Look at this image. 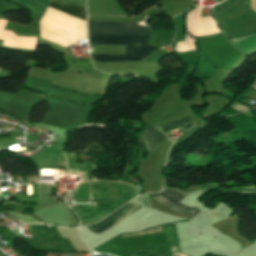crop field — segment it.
Listing matches in <instances>:
<instances>
[{
  "label": "crop field",
  "mask_w": 256,
  "mask_h": 256,
  "mask_svg": "<svg viewBox=\"0 0 256 256\" xmlns=\"http://www.w3.org/2000/svg\"><path fill=\"white\" fill-rule=\"evenodd\" d=\"M153 199L157 200L158 202L186 215V216H192L193 214L186 212V211H190L192 213L197 212L199 209H197L196 207L194 208H190L188 206H185L181 203H179L186 195L185 194H181L178 193L177 191H173V190H162L160 193H158L157 195H159L160 197H162L163 199H165L166 201L186 210H181L173 205H171L170 203L166 202L165 200H163L162 198H160L159 196H157L156 194H150Z\"/></svg>",
  "instance_id": "crop-field-3"
},
{
  "label": "crop field",
  "mask_w": 256,
  "mask_h": 256,
  "mask_svg": "<svg viewBox=\"0 0 256 256\" xmlns=\"http://www.w3.org/2000/svg\"><path fill=\"white\" fill-rule=\"evenodd\" d=\"M43 248H45V249H56V244L43 245Z\"/></svg>",
  "instance_id": "crop-field-7"
},
{
  "label": "crop field",
  "mask_w": 256,
  "mask_h": 256,
  "mask_svg": "<svg viewBox=\"0 0 256 256\" xmlns=\"http://www.w3.org/2000/svg\"><path fill=\"white\" fill-rule=\"evenodd\" d=\"M188 122H191V120L188 117H186V118H183V119H181L179 121L168 123V124H164V125H161L159 127L161 129L165 130V129H168V128H173L175 126H181V125H183L185 123H188Z\"/></svg>",
  "instance_id": "crop-field-6"
},
{
  "label": "crop field",
  "mask_w": 256,
  "mask_h": 256,
  "mask_svg": "<svg viewBox=\"0 0 256 256\" xmlns=\"http://www.w3.org/2000/svg\"><path fill=\"white\" fill-rule=\"evenodd\" d=\"M49 7L86 19V9L64 0H51Z\"/></svg>",
  "instance_id": "crop-field-5"
},
{
  "label": "crop field",
  "mask_w": 256,
  "mask_h": 256,
  "mask_svg": "<svg viewBox=\"0 0 256 256\" xmlns=\"http://www.w3.org/2000/svg\"><path fill=\"white\" fill-rule=\"evenodd\" d=\"M140 207H142V206L131 201V202L127 203L126 205H124L123 207H121L120 209L113 212L112 214H110L109 216H107L101 222L87 226V228L96 233L103 232V231L109 229L110 227H112L114 224H116L118 221H120L124 217L128 216L135 210L139 209Z\"/></svg>",
  "instance_id": "crop-field-2"
},
{
  "label": "crop field",
  "mask_w": 256,
  "mask_h": 256,
  "mask_svg": "<svg viewBox=\"0 0 256 256\" xmlns=\"http://www.w3.org/2000/svg\"><path fill=\"white\" fill-rule=\"evenodd\" d=\"M165 137L166 133L150 125L143 137V141L147 150L152 153Z\"/></svg>",
  "instance_id": "crop-field-4"
},
{
  "label": "crop field",
  "mask_w": 256,
  "mask_h": 256,
  "mask_svg": "<svg viewBox=\"0 0 256 256\" xmlns=\"http://www.w3.org/2000/svg\"><path fill=\"white\" fill-rule=\"evenodd\" d=\"M151 29L145 23L89 21L90 45H147ZM156 47L125 46V55H91L93 62L143 61Z\"/></svg>",
  "instance_id": "crop-field-1"
}]
</instances>
